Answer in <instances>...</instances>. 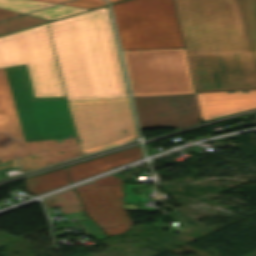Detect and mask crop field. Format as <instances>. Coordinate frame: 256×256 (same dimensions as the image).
I'll return each instance as SVG.
<instances>
[{
	"instance_id": "1",
	"label": "crop field",
	"mask_w": 256,
	"mask_h": 256,
	"mask_svg": "<svg viewBox=\"0 0 256 256\" xmlns=\"http://www.w3.org/2000/svg\"><path fill=\"white\" fill-rule=\"evenodd\" d=\"M0 113L22 169L82 155L65 96L34 98L26 64L0 69Z\"/></svg>"
},
{
	"instance_id": "2",
	"label": "crop field",
	"mask_w": 256,
	"mask_h": 256,
	"mask_svg": "<svg viewBox=\"0 0 256 256\" xmlns=\"http://www.w3.org/2000/svg\"><path fill=\"white\" fill-rule=\"evenodd\" d=\"M48 27L67 100L127 97L107 7Z\"/></svg>"
},
{
	"instance_id": "3",
	"label": "crop field",
	"mask_w": 256,
	"mask_h": 256,
	"mask_svg": "<svg viewBox=\"0 0 256 256\" xmlns=\"http://www.w3.org/2000/svg\"><path fill=\"white\" fill-rule=\"evenodd\" d=\"M186 51L249 49L238 0H174Z\"/></svg>"
},
{
	"instance_id": "4",
	"label": "crop field",
	"mask_w": 256,
	"mask_h": 256,
	"mask_svg": "<svg viewBox=\"0 0 256 256\" xmlns=\"http://www.w3.org/2000/svg\"><path fill=\"white\" fill-rule=\"evenodd\" d=\"M250 50L186 52L195 92L256 89V0H239Z\"/></svg>"
},
{
	"instance_id": "5",
	"label": "crop field",
	"mask_w": 256,
	"mask_h": 256,
	"mask_svg": "<svg viewBox=\"0 0 256 256\" xmlns=\"http://www.w3.org/2000/svg\"><path fill=\"white\" fill-rule=\"evenodd\" d=\"M111 8L122 50L184 47L173 0H127Z\"/></svg>"
},
{
	"instance_id": "6",
	"label": "crop field",
	"mask_w": 256,
	"mask_h": 256,
	"mask_svg": "<svg viewBox=\"0 0 256 256\" xmlns=\"http://www.w3.org/2000/svg\"><path fill=\"white\" fill-rule=\"evenodd\" d=\"M67 102L83 155L138 137L129 98Z\"/></svg>"
},
{
	"instance_id": "7",
	"label": "crop field",
	"mask_w": 256,
	"mask_h": 256,
	"mask_svg": "<svg viewBox=\"0 0 256 256\" xmlns=\"http://www.w3.org/2000/svg\"><path fill=\"white\" fill-rule=\"evenodd\" d=\"M122 54L133 97L194 93L185 48Z\"/></svg>"
},
{
	"instance_id": "8",
	"label": "crop field",
	"mask_w": 256,
	"mask_h": 256,
	"mask_svg": "<svg viewBox=\"0 0 256 256\" xmlns=\"http://www.w3.org/2000/svg\"><path fill=\"white\" fill-rule=\"evenodd\" d=\"M24 63L35 97L65 95L47 24L0 37V68Z\"/></svg>"
},
{
	"instance_id": "9",
	"label": "crop field",
	"mask_w": 256,
	"mask_h": 256,
	"mask_svg": "<svg viewBox=\"0 0 256 256\" xmlns=\"http://www.w3.org/2000/svg\"><path fill=\"white\" fill-rule=\"evenodd\" d=\"M140 129L183 128L201 118L195 94L133 98ZM160 113H164L159 116Z\"/></svg>"
},
{
	"instance_id": "10",
	"label": "crop field",
	"mask_w": 256,
	"mask_h": 256,
	"mask_svg": "<svg viewBox=\"0 0 256 256\" xmlns=\"http://www.w3.org/2000/svg\"><path fill=\"white\" fill-rule=\"evenodd\" d=\"M123 185L95 187L93 182L75 188L84 212L102 228L108 236L125 232L133 225L120 205H123Z\"/></svg>"
},
{
	"instance_id": "11",
	"label": "crop field",
	"mask_w": 256,
	"mask_h": 256,
	"mask_svg": "<svg viewBox=\"0 0 256 256\" xmlns=\"http://www.w3.org/2000/svg\"><path fill=\"white\" fill-rule=\"evenodd\" d=\"M142 157L141 148L136 146L125 151L102 156L57 171L27 178L28 190L30 193L38 195Z\"/></svg>"
},
{
	"instance_id": "12",
	"label": "crop field",
	"mask_w": 256,
	"mask_h": 256,
	"mask_svg": "<svg viewBox=\"0 0 256 256\" xmlns=\"http://www.w3.org/2000/svg\"><path fill=\"white\" fill-rule=\"evenodd\" d=\"M195 94L204 121L256 107V90Z\"/></svg>"
},
{
	"instance_id": "13",
	"label": "crop field",
	"mask_w": 256,
	"mask_h": 256,
	"mask_svg": "<svg viewBox=\"0 0 256 256\" xmlns=\"http://www.w3.org/2000/svg\"><path fill=\"white\" fill-rule=\"evenodd\" d=\"M52 5L55 4L36 0H0L1 8L14 10L22 13L34 11Z\"/></svg>"
},
{
	"instance_id": "14",
	"label": "crop field",
	"mask_w": 256,
	"mask_h": 256,
	"mask_svg": "<svg viewBox=\"0 0 256 256\" xmlns=\"http://www.w3.org/2000/svg\"><path fill=\"white\" fill-rule=\"evenodd\" d=\"M48 21L49 20L24 15L8 21L0 22V33L4 34Z\"/></svg>"
},
{
	"instance_id": "15",
	"label": "crop field",
	"mask_w": 256,
	"mask_h": 256,
	"mask_svg": "<svg viewBox=\"0 0 256 256\" xmlns=\"http://www.w3.org/2000/svg\"><path fill=\"white\" fill-rule=\"evenodd\" d=\"M46 209L81 204L74 189L42 200Z\"/></svg>"
},
{
	"instance_id": "16",
	"label": "crop field",
	"mask_w": 256,
	"mask_h": 256,
	"mask_svg": "<svg viewBox=\"0 0 256 256\" xmlns=\"http://www.w3.org/2000/svg\"><path fill=\"white\" fill-rule=\"evenodd\" d=\"M86 10H88V9L58 5V6L44 9V10H41V11H38L35 13H31L28 15L53 20V19L61 18L64 16H68V15L79 13V12L86 11Z\"/></svg>"
},
{
	"instance_id": "17",
	"label": "crop field",
	"mask_w": 256,
	"mask_h": 256,
	"mask_svg": "<svg viewBox=\"0 0 256 256\" xmlns=\"http://www.w3.org/2000/svg\"><path fill=\"white\" fill-rule=\"evenodd\" d=\"M15 158L6 119L0 114V159Z\"/></svg>"
},
{
	"instance_id": "18",
	"label": "crop field",
	"mask_w": 256,
	"mask_h": 256,
	"mask_svg": "<svg viewBox=\"0 0 256 256\" xmlns=\"http://www.w3.org/2000/svg\"><path fill=\"white\" fill-rule=\"evenodd\" d=\"M63 5L93 9L99 6L106 5V2L105 0H74L64 3Z\"/></svg>"
},
{
	"instance_id": "19",
	"label": "crop field",
	"mask_w": 256,
	"mask_h": 256,
	"mask_svg": "<svg viewBox=\"0 0 256 256\" xmlns=\"http://www.w3.org/2000/svg\"><path fill=\"white\" fill-rule=\"evenodd\" d=\"M95 186H103V185H117L123 184L122 180L116 176L110 175L105 178L94 181Z\"/></svg>"
},
{
	"instance_id": "20",
	"label": "crop field",
	"mask_w": 256,
	"mask_h": 256,
	"mask_svg": "<svg viewBox=\"0 0 256 256\" xmlns=\"http://www.w3.org/2000/svg\"><path fill=\"white\" fill-rule=\"evenodd\" d=\"M18 168L16 159H4L0 160V169ZM7 173L1 174L0 179L7 178Z\"/></svg>"
},
{
	"instance_id": "21",
	"label": "crop field",
	"mask_w": 256,
	"mask_h": 256,
	"mask_svg": "<svg viewBox=\"0 0 256 256\" xmlns=\"http://www.w3.org/2000/svg\"><path fill=\"white\" fill-rule=\"evenodd\" d=\"M20 14H22V13L9 11V10H5V9L0 8V20L10 18V17H14V16H17V15H20Z\"/></svg>"
},
{
	"instance_id": "22",
	"label": "crop field",
	"mask_w": 256,
	"mask_h": 256,
	"mask_svg": "<svg viewBox=\"0 0 256 256\" xmlns=\"http://www.w3.org/2000/svg\"><path fill=\"white\" fill-rule=\"evenodd\" d=\"M42 1H48V2H54V3H60V2H65L69 0H42Z\"/></svg>"
},
{
	"instance_id": "23",
	"label": "crop field",
	"mask_w": 256,
	"mask_h": 256,
	"mask_svg": "<svg viewBox=\"0 0 256 256\" xmlns=\"http://www.w3.org/2000/svg\"><path fill=\"white\" fill-rule=\"evenodd\" d=\"M13 170H16V169H10V170H1V171H2V173H3V172H9V171H13Z\"/></svg>"
},
{
	"instance_id": "24",
	"label": "crop field",
	"mask_w": 256,
	"mask_h": 256,
	"mask_svg": "<svg viewBox=\"0 0 256 256\" xmlns=\"http://www.w3.org/2000/svg\"><path fill=\"white\" fill-rule=\"evenodd\" d=\"M110 1V3H112V2H116V1H119V0H109Z\"/></svg>"
},
{
	"instance_id": "25",
	"label": "crop field",
	"mask_w": 256,
	"mask_h": 256,
	"mask_svg": "<svg viewBox=\"0 0 256 256\" xmlns=\"http://www.w3.org/2000/svg\"><path fill=\"white\" fill-rule=\"evenodd\" d=\"M1 35V34H0Z\"/></svg>"
}]
</instances>
